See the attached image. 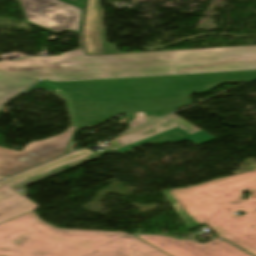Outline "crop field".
Returning <instances> with one entry per match:
<instances>
[{
    "label": "crop field",
    "mask_w": 256,
    "mask_h": 256,
    "mask_svg": "<svg viewBox=\"0 0 256 256\" xmlns=\"http://www.w3.org/2000/svg\"><path fill=\"white\" fill-rule=\"evenodd\" d=\"M36 81L38 80L0 73V107Z\"/></svg>",
    "instance_id": "crop-field-10"
},
{
    "label": "crop field",
    "mask_w": 256,
    "mask_h": 256,
    "mask_svg": "<svg viewBox=\"0 0 256 256\" xmlns=\"http://www.w3.org/2000/svg\"><path fill=\"white\" fill-rule=\"evenodd\" d=\"M214 139L216 138L172 114L113 139L110 143L116 145L114 149L97 154L85 149L57 161L31 169L0 182V224L38 208L35 203L25 198L28 189L24 186L73 168L90 159L114 150L120 154L143 144H163L188 140L200 146ZM18 188L25 192L22 194L16 192L15 190Z\"/></svg>",
    "instance_id": "crop-field-5"
},
{
    "label": "crop field",
    "mask_w": 256,
    "mask_h": 256,
    "mask_svg": "<svg viewBox=\"0 0 256 256\" xmlns=\"http://www.w3.org/2000/svg\"><path fill=\"white\" fill-rule=\"evenodd\" d=\"M246 188H250L251 194L243 200ZM162 193L183 219L188 231L205 224L218 236L256 256V171ZM232 201L242 204L233 206ZM238 210L246 214L233 215Z\"/></svg>",
    "instance_id": "crop-field-3"
},
{
    "label": "crop field",
    "mask_w": 256,
    "mask_h": 256,
    "mask_svg": "<svg viewBox=\"0 0 256 256\" xmlns=\"http://www.w3.org/2000/svg\"><path fill=\"white\" fill-rule=\"evenodd\" d=\"M3 179V178H0V180Z\"/></svg>",
    "instance_id": "crop-field-14"
},
{
    "label": "crop field",
    "mask_w": 256,
    "mask_h": 256,
    "mask_svg": "<svg viewBox=\"0 0 256 256\" xmlns=\"http://www.w3.org/2000/svg\"><path fill=\"white\" fill-rule=\"evenodd\" d=\"M76 126L61 135L30 143L17 152L0 147V176L8 177L65 154Z\"/></svg>",
    "instance_id": "crop-field-7"
},
{
    "label": "crop field",
    "mask_w": 256,
    "mask_h": 256,
    "mask_svg": "<svg viewBox=\"0 0 256 256\" xmlns=\"http://www.w3.org/2000/svg\"><path fill=\"white\" fill-rule=\"evenodd\" d=\"M80 128H81V127H77V128H76V130H75V132H74V134H73L72 140H71V142H70V145H69V147H68V150H67V153H66V154L71 153V152L73 151L74 145H75V143H76V141L74 140V138H75V136H76V134H77V132H78V130H79Z\"/></svg>",
    "instance_id": "crop-field-12"
},
{
    "label": "crop field",
    "mask_w": 256,
    "mask_h": 256,
    "mask_svg": "<svg viewBox=\"0 0 256 256\" xmlns=\"http://www.w3.org/2000/svg\"><path fill=\"white\" fill-rule=\"evenodd\" d=\"M148 115L158 114L157 112L147 113Z\"/></svg>",
    "instance_id": "crop-field-13"
},
{
    "label": "crop field",
    "mask_w": 256,
    "mask_h": 256,
    "mask_svg": "<svg viewBox=\"0 0 256 256\" xmlns=\"http://www.w3.org/2000/svg\"><path fill=\"white\" fill-rule=\"evenodd\" d=\"M256 71L108 79L56 83L43 80L36 89L59 92L74 125L96 126L114 115L158 111L160 116L191 105L186 94L206 93L222 83L250 82ZM23 93V94H25Z\"/></svg>",
    "instance_id": "crop-field-1"
},
{
    "label": "crop field",
    "mask_w": 256,
    "mask_h": 256,
    "mask_svg": "<svg viewBox=\"0 0 256 256\" xmlns=\"http://www.w3.org/2000/svg\"><path fill=\"white\" fill-rule=\"evenodd\" d=\"M0 256L168 255L126 233L59 229L32 212L0 225Z\"/></svg>",
    "instance_id": "crop-field-4"
},
{
    "label": "crop field",
    "mask_w": 256,
    "mask_h": 256,
    "mask_svg": "<svg viewBox=\"0 0 256 256\" xmlns=\"http://www.w3.org/2000/svg\"><path fill=\"white\" fill-rule=\"evenodd\" d=\"M101 18L99 0H87L83 32L88 55L116 53L115 45L105 42Z\"/></svg>",
    "instance_id": "crop-field-9"
},
{
    "label": "crop field",
    "mask_w": 256,
    "mask_h": 256,
    "mask_svg": "<svg viewBox=\"0 0 256 256\" xmlns=\"http://www.w3.org/2000/svg\"><path fill=\"white\" fill-rule=\"evenodd\" d=\"M26 21L54 34L80 32L84 0H18Z\"/></svg>",
    "instance_id": "crop-field-6"
},
{
    "label": "crop field",
    "mask_w": 256,
    "mask_h": 256,
    "mask_svg": "<svg viewBox=\"0 0 256 256\" xmlns=\"http://www.w3.org/2000/svg\"><path fill=\"white\" fill-rule=\"evenodd\" d=\"M154 116H159V115H154ZM135 117H136V121L129 124L130 128L146 123L147 122L146 117H152V116H147L146 113H142V114H135Z\"/></svg>",
    "instance_id": "crop-field-11"
},
{
    "label": "crop field",
    "mask_w": 256,
    "mask_h": 256,
    "mask_svg": "<svg viewBox=\"0 0 256 256\" xmlns=\"http://www.w3.org/2000/svg\"><path fill=\"white\" fill-rule=\"evenodd\" d=\"M250 69H256V46L87 56L81 34L79 50L0 62V71L50 80Z\"/></svg>",
    "instance_id": "crop-field-2"
},
{
    "label": "crop field",
    "mask_w": 256,
    "mask_h": 256,
    "mask_svg": "<svg viewBox=\"0 0 256 256\" xmlns=\"http://www.w3.org/2000/svg\"><path fill=\"white\" fill-rule=\"evenodd\" d=\"M135 236L170 256H251L222 239L199 244L161 236Z\"/></svg>",
    "instance_id": "crop-field-8"
}]
</instances>
